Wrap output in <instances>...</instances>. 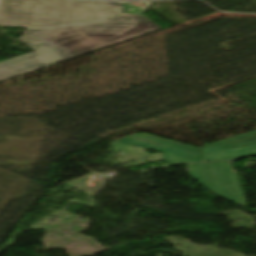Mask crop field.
I'll return each mask as SVG.
<instances>
[{
    "mask_svg": "<svg viewBox=\"0 0 256 256\" xmlns=\"http://www.w3.org/2000/svg\"><path fill=\"white\" fill-rule=\"evenodd\" d=\"M133 3L2 0L0 25L29 27L19 40L36 51L1 62L0 81L163 30L143 16L153 1Z\"/></svg>",
    "mask_w": 256,
    "mask_h": 256,
    "instance_id": "crop-field-1",
    "label": "crop field"
},
{
    "mask_svg": "<svg viewBox=\"0 0 256 256\" xmlns=\"http://www.w3.org/2000/svg\"><path fill=\"white\" fill-rule=\"evenodd\" d=\"M187 166L191 177L209 191L245 206L238 175L233 173L230 162L191 164Z\"/></svg>",
    "mask_w": 256,
    "mask_h": 256,
    "instance_id": "crop-field-2",
    "label": "crop field"
},
{
    "mask_svg": "<svg viewBox=\"0 0 256 256\" xmlns=\"http://www.w3.org/2000/svg\"><path fill=\"white\" fill-rule=\"evenodd\" d=\"M117 142L163 152L164 161L172 164L204 161L199 147L145 133H138Z\"/></svg>",
    "mask_w": 256,
    "mask_h": 256,
    "instance_id": "crop-field-3",
    "label": "crop field"
},
{
    "mask_svg": "<svg viewBox=\"0 0 256 256\" xmlns=\"http://www.w3.org/2000/svg\"><path fill=\"white\" fill-rule=\"evenodd\" d=\"M205 161L256 155V131L202 148Z\"/></svg>",
    "mask_w": 256,
    "mask_h": 256,
    "instance_id": "crop-field-4",
    "label": "crop field"
},
{
    "mask_svg": "<svg viewBox=\"0 0 256 256\" xmlns=\"http://www.w3.org/2000/svg\"><path fill=\"white\" fill-rule=\"evenodd\" d=\"M1 1V0H0Z\"/></svg>",
    "mask_w": 256,
    "mask_h": 256,
    "instance_id": "crop-field-5",
    "label": "crop field"
}]
</instances>
